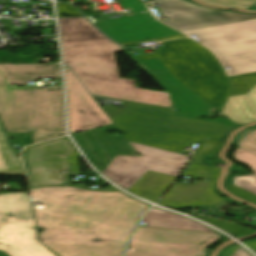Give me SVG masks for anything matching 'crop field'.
<instances>
[{"label": "crop field", "mask_w": 256, "mask_h": 256, "mask_svg": "<svg viewBox=\"0 0 256 256\" xmlns=\"http://www.w3.org/2000/svg\"><path fill=\"white\" fill-rule=\"evenodd\" d=\"M233 184L256 194V175L234 176Z\"/></svg>", "instance_id": "26"}, {"label": "crop field", "mask_w": 256, "mask_h": 256, "mask_svg": "<svg viewBox=\"0 0 256 256\" xmlns=\"http://www.w3.org/2000/svg\"><path fill=\"white\" fill-rule=\"evenodd\" d=\"M132 247L126 256H208L207 250L142 242H129Z\"/></svg>", "instance_id": "19"}, {"label": "crop field", "mask_w": 256, "mask_h": 256, "mask_svg": "<svg viewBox=\"0 0 256 256\" xmlns=\"http://www.w3.org/2000/svg\"><path fill=\"white\" fill-rule=\"evenodd\" d=\"M72 173L67 175L68 185L71 184L69 175L80 174L77 158H70Z\"/></svg>", "instance_id": "32"}, {"label": "crop field", "mask_w": 256, "mask_h": 256, "mask_svg": "<svg viewBox=\"0 0 256 256\" xmlns=\"http://www.w3.org/2000/svg\"><path fill=\"white\" fill-rule=\"evenodd\" d=\"M124 51L169 91L175 107L179 110L175 117L195 120L194 116H211L214 112L215 109L212 106L172 76L159 59L142 62L126 49Z\"/></svg>", "instance_id": "11"}, {"label": "crop field", "mask_w": 256, "mask_h": 256, "mask_svg": "<svg viewBox=\"0 0 256 256\" xmlns=\"http://www.w3.org/2000/svg\"><path fill=\"white\" fill-rule=\"evenodd\" d=\"M39 237L58 256H123L140 215L150 206L123 192L71 186L30 189Z\"/></svg>", "instance_id": "1"}, {"label": "crop field", "mask_w": 256, "mask_h": 256, "mask_svg": "<svg viewBox=\"0 0 256 256\" xmlns=\"http://www.w3.org/2000/svg\"><path fill=\"white\" fill-rule=\"evenodd\" d=\"M0 256H9V255H7L6 253L0 251Z\"/></svg>", "instance_id": "37"}, {"label": "crop field", "mask_w": 256, "mask_h": 256, "mask_svg": "<svg viewBox=\"0 0 256 256\" xmlns=\"http://www.w3.org/2000/svg\"><path fill=\"white\" fill-rule=\"evenodd\" d=\"M219 115L237 124L256 121V85L246 95L229 97Z\"/></svg>", "instance_id": "17"}, {"label": "crop field", "mask_w": 256, "mask_h": 256, "mask_svg": "<svg viewBox=\"0 0 256 256\" xmlns=\"http://www.w3.org/2000/svg\"><path fill=\"white\" fill-rule=\"evenodd\" d=\"M233 144L256 154V128L252 127L242 131L236 136Z\"/></svg>", "instance_id": "25"}, {"label": "crop field", "mask_w": 256, "mask_h": 256, "mask_svg": "<svg viewBox=\"0 0 256 256\" xmlns=\"http://www.w3.org/2000/svg\"><path fill=\"white\" fill-rule=\"evenodd\" d=\"M130 14L113 18L98 20L95 23L110 38L119 43L146 40L179 33L156 22L145 5L140 0H120ZM145 11V13H141Z\"/></svg>", "instance_id": "10"}, {"label": "crop field", "mask_w": 256, "mask_h": 256, "mask_svg": "<svg viewBox=\"0 0 256 256\" xmlns=\"http://www.w3.org/2000/svg\"><path fill=\"white\" fill-rule=\"evenodd\" d=\"M218 172L216 173H205V174H195L193 172H190L188 170L184 171L182 175L190 176L194 179H201V178H214L216 177Z\"/></svg>", "instance_id": "31"}, {"label": "crop field", "mask_w": 256, "mask_h": 256, "mask_svg": "<svg viewBox=\"0 0 256 256\" xmlns=\"http://www.w3.org/2000/svg\"><path fill=\"white\" fill-rule=\"evenodd\" d=\"M183 37H186V36H184V35L169 36V37H162V38L151 39V40H146V41H160V40L177 39V38H183ZM146 41H140V42H146ZM135 44H138V42L124 43L121 45L127 46V45H135Z\"/></svg>", "instance_id": "34"}, {"label": "crop field", "mask_w": 256, "mask_h": 256, "mask_svg": "<svg viewBox=\"0 0 256 256\" xmlns=\"http://www.w3.org/2000/svg\"><path fill=\"white\" fill-rule=\"evenodd\" d=\"M229 77L232 85L230 96L246 94L256 84V73Z\"/></svg>", "instance_id": "23"}, {"label": "crop field", "mask_w": 256, "mask_h": 256, "mask_svg": "<svg viewBox=\"0 0 256 256\" xmlns=\"http://www.w3.org/2000/svg\"><path fill=\"white\" fill-rule=\"evenodd\" d=\"M256 127V126H255Z\"/></svg>", "instance_id": "40"}, {"label": "crop field", "mask_w": 256, "mask_h": 256, "mask_svg": "<svg viewBox=\"0 0 256 256\" xmlns=\"http://www.w3.org/2000/svg\"><path fill=\"white\" fill-rule=\"evenodd\" d=\"M61 77L60 64L0 65V115L9 132H33V143L66 135L62 86L11 87Z\"/></svg>", "instance_id": "3"}, {"label": "crop field", "mask_w": 256, "mask_h": 256, "mask_svg": "<svg viewBox=\"0 0 256 256\" xmlns=\"http://www.w3.org/2000/svg\"><path fill=\"white\" fill-rule=\"evenodd\" d=\"M113 130H118L114 124L105 126L104 130L94 129L73 136L87 158L100 170L118 154L138 155L124 136L111 137L107 133Z\"/></svg>", "instance_id": "14"}, {"label": "crop field", "mask_w": 256, "mask_h": 256, "mask_svg": "<svg viewBox=\"0 0 256 256\" xmlns=\"http://www.w3.org/2000/svg\"><path fill=\"white\" fill-rule=\"evenodd\" d=\"M156 58L194 93L221 111L230 92L227 76L215 56L192 39L165 41L156 53L138 56Z\"/></svg>", "instance_id": "5"}, {"label": "crop field", "mask_w": 256, "mask_h": 256, "mask_svg": "<svg viewBox=\"0 0 256 256\" xmlns=\"http://www.w3.org/2000/svg\"><path fill=\"white\" fill-rule=\"evenodd\" d=\"M69 157H80V154L68 137L26 148L23 160L29 186L66 184V174L71 173Z\"/></svg>", "instance_id": "9"}, {"label": "crop field", "mask_w": 256, "mask_h": 256, "mask_svg": "<svg viewBox=\"0 0 256 256\" xmlns=\"http://www.w3.org/2000/svg\"><path fill=\"white\" fill-rule=\"evenodd\" d=\"M82 187H87L86 185H81ZM108 189L109 188H113L112 186H109V187H107ZM98 189H101V188H98Z\"/></svg>", "instance_id": "38"}, {"label": "crop field", "mask_w": 256, "mask_h": 256, "mask_svg": "<svg viewBox=\"0 0 256 256\" xmlns=\"http://www.w3.org/2000/svg\"><path fill=\"white\" fill-rule=\"evenodd\" d=\"M27 193L0 194V250L10 256H55L38 242Z\"/></svg>", "instance_id": "7"}, {"label": "crop field", "mask_w": 256, "mask_h": 256, "mask_svg": "<svg viewBox=\"0 0 256 256\" xmlns=\"http://www.w3.org/2000/svg\"><path fill=\"white\" fill-rule=\"evenodd\" d=\"M223 142L205 140L194 153L192 162L187 168L195 173L220 171V168H211L201 162L203 155H216Z\"/></svg>", "instance_id": "22"}, {"label": "crop field", "mask_w": 256, "mask_h": 256, "mask_svg": "<svg viewBox=\"0 0 256 256\" xmlns=\"http://www.w3.org/2000/svg\"><path fill=\"white\" fill-rule=\"evenodd\" d=\"M200 121H209V122H216V123H220V124H224V125H228V126H232L235 127L237 125H235L234 123H232L231 121H229L226 118L220 117L218 119H197Z\"/></svg>", "instance_id": "33"}, {"label": "crop field", "mask_w": 256, "mask_h": 256, "mask_svg": "<svg viewBox=\"0 0 256 256\" xmlns=\"http://www.w3.org/2000/svg\"><path fill=\"white\" fill-rule=\"evenodd\" d=\"M141 221L146 222L145 226L218 233L193 220L157 208L147 211Z\"/></svg>", "instance_id": "18"}, {"label": "crop field", "mask_w": 256, "mask_h": 256, "mask_svg": "<svg viewBox=\"0 0 256 256\" xmlns=\"http://www.w3.org/2000/svg\"><path fill=\"white\" fill-rule=\"evenodd\" d=\"M57 5H59V3H56Z\"/></svg>", "instance_id": "39"}, {"label": "crop field", "mask_w": 256, "mask_h": 256, "mask_svg": "<svg viewBox=\"0 0 256 256\" xmlns=\"http://www.w3.org/2000/svg\"><path fill=\"white\" fill-rule=\"evenodd\" d=\"M217 179L209 181H197V183H176L159 203L165 206L208 205L215 206L223 201V198L214 193V184Z\"/></svg>", "instance_id": "16"}, {"label": "crop field", "mask_w": 256, "mask_h": 256, "mask_svg": "<svg viewBox=\"0 0 256 256\" xmlns=\"http://www.w3.org/2000/svg\"><path fill=\"white\" fill-rule=\"evenodd\" d=\"M193 207H205V206H186V207H171V208L181 209V208H193Z\"/></svg>", "instance_id": "36"}, {"label": "crop field", "mask_w": 256, "mask_h": 256, "mask_svg": "<svg viewBox=\"0 0 256 256\" xmlns=\"http://www.w3.org/2000/svg\"><path fill=\"white\" fill-rule=\"evenodd\" d=\"M161 10L173 18L167 25L181 31L185 29L222 24L256 18V15H242L238 13L198 7L184 0H156Z\"/></svg>", "instance_id": "12"}, {"label": "crop field", "mask_w": 256, "mask_h": 256, "mask_svg": "<svg viewBox=\"0 0 256 256\" xmlns=\"http://www.w3.org/2000/svg\"><path fill=\"white\" fill-rule=\"evenodd\" d=\"M192 215L222 229L223 231H225L233 236L255 232V230H253L251 228H243L234 223L219 221V220H215V219H211V218H207V217H203V216H199V215H195V214H192Z\"/></svg>", "instance_id": "24"}, {"label": "crop field", "mask_w": 256, "mask_h": 256, "mask_svg": "<svg viewBox=\"0 0 256 256\" xmlns=\"http://www.w3.org/2000/svg\"><path fill=\"white\" fill-rule=\"evenodd\" d=\"M195 34L229 66V75L256 71V19L182 31Z\"/></svg>", "instance_id": "6"}, {"label": "crop field", "mask_w": 256, "mask_h": 256, "mask_svg": "<svg viewBox=\"0 0 256 256\" xmlns=\"http://www.w3.org/2000/svg\"><path fill=\"white\" fill-rule=\"evenodd\" d=\"M226 186L233 193H235V194H237V195H239V196H241V197H243L245 199H248V200L256 203V195H254V194H252V193H250L248 191H245V190H243L241 188H238V187H236L234 185H231V184H227L226 183Z\"/></svg>", "instance_id": "30"}, {"label": "crop field", "mask_w": 256, "mask_h": 256, "mask_svg": "<svg viewBox=\"0 0 256 256\" xmlns=\"http://www.w3.org/2000/svg\"><path fill=\"white\" fill-rule=\"evenodd\" d=\"M175 179V177L149 171L129 191L150 201L157 202Z\"/></svg>", "instance_id": "20"}, {"label": "crop field", "mask_w": 256, "mask_h": 256, "mask_svg": "<svg viewBox=\"0 0 256 256\" xmlns=\"http://www.w3.org/2000/svg\"><path fill=\"white\" fill-rule=\"evenodd\" d=\"M209 3L247 8L256 3V0H204Z\"/></svg>", "instance_id": "27"}, {"label": "crop field", "mask_w": 256, "mask_h": 256, "mask_svg": "<svg viewBox=\"0 0 256 256\" xmlns=\"http://www.w3.org/2000/svg\"><path fill=\"white\" fill-rule=\"evenodd\" d=\"M64 63L92 94L174 106L168 93L134 87L135 80L119 78L115 51L121 46L99 32L85 17L59 18Z\"/></svg>", "instance_id": "2"}, {"label": "crop field", "mask_w": 256, "mask_h": 256, "mask_svg": "<svg viewBox=\"0 0 256 256\" xmlns=\"http://www.w3.org/2000/svg\"><path fill=\"white\" fill-rule=\"evenodd\" d=\"M130 143V142H129ZM143 156L119 155L102 172L118 185L130 189L148 170L178 177L189 156L131 142ZM182 165H179V164Z\"/></svg>", "instance_id": "8"}, {"label": "crop field", "mask_w": 256, "mask_h": 256, "mask_svg": "<svg viewBox=\"0 0 256 256\" xmlns=\"http://www.w3.org/2000/svg\"><path fill=\"white\" fill-rule=\"evenodd\" d=\"M220 236L213 233L139 226L131 240L205 249Z\"/></svg>", "instance_id": "15"}, {"label": "crop field", "mask_w": 256, "mask_h": 256, "mask_svg": "<svg viewBox=\"0 0 256 256\" xmlns=\"http://www.w3.org/2000/svg\"><path fill=\"white\" fill-rule=\"evenodd\" d=\"M0 173L7 175H24L11 141L0 121Z\"/></svg>", "instance_id": "21"}, {"label": "crop field", "mask_w": 256, "mask_h": 256, "mask_svg": "<svg viewBox=\"0 0 256 256\" xmlns=\"http://www.w3.org/2000/svg\"><path fill=\"white\" fill-rule=\"evenodd\" d=\"M256 252V241L246 243Z\"/></svg>", "instance_id": "35"}, {"label": "crop field", "mask_w": 256, "mask_h": 256, "mask_svg": "<svg viewBox=\"0 0 256 256\" xmlns=\"http://www.w3.org/2000/svg\"><path fill=\"white\" fill-rule=\"evenodd\" d=\"M220 256H252L246 250L238 245H233L222 251Z\"/></svg>", "instance_id": "29"}, {"label": "crop field", "mask_w": 256, "mask_h": 256, "mask_svg": "<svg viewBox=\"0 0 256 256\" xmlns=\"http://www.w3.org/2000/svg\"><path fill=\"white\" fill-rule=\"evenodd\" d=\"M235 157L237 160L250 165L256 174V155L239 148L235 152Z\"/></svg>", "instance_id": "28"}, {"label": "crop field", "mask_w": 256, "mask_h": 256, "mask_svg": "<svg viewBox=\"0 0 256 256\" xmlns=\"http://www.w3.org/2000/svg\"><path fill=\"white\" fill-rule=\"evenodd\" d=\"M65 70L71 134L112 124L72 71L66 66Z\"/></svg>", "instance_id": "13"}, {"label": "crop field", "mask_w": 256, "mask_h": 256, "mask_svg": "<svg viewBox=\"0 0 256 256\" xmlns=\"http://www.w3.org/2000/svg\"><path fill=\"white\" fill-rule=\"evenodd\" d=\"M106 114L126 139L180 153L205 137L221 140L232 127L174 118L177 110L127 102Z\"/></svg>", "instance_id": "4"}]
</instances>
